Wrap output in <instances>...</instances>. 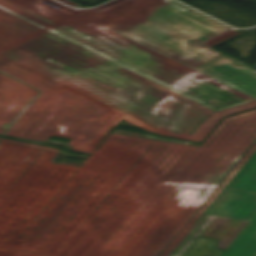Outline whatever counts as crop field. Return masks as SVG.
Returning a JSON list of instances; mask_svg holds the SVG:
<instances>
[{"instance_id":"obj_1","label":"crop field","mask_w":256,"mask_h":256,"mask_svg":"<svg viewBox=\"0 0 256 256\" xmlns=\"http://www.w3.org/2000/svg\"><path fill=\"white\" fill-rule=\"evenodd\" d=\"M256 98V70L210 47L238 32L173 1L145 0L95 20Z\"/></svg>"},{"instance_id":"obj_2","label":"crop field","mask_w":256,"mask_h":256,"mask_svg":"<svg viewBox=\"0 0 256 256\" xmlns=\"http://www.w3.org/2000/svg\"><path fill=\"white\" fill-rule=\"evenodd\" d=\"M199 236L219 240L222 256H256V153L171 256H183Z\"/></svg>"},{"instance_id":"obj_3","label":"crop field","mask_w":256,"mask_h":256,"mask_svg":"<svg viewBox=\"0 0 256 256\" xmlns=\"http://www.w3.org/2000/svg\"><path fill=\"white\" fill-rule=\"evenodd\" d=\"M216 240L199 237L184 256H221L223 250L212 248Z\"/></svg>"}]
</instances>
